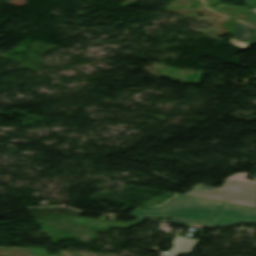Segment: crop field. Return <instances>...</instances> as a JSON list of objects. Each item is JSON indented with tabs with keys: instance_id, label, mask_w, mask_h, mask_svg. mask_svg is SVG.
<instances>
[{
	"instance_id": "3",
	"label": "crop field",
	"mask_w": 256,
	"mask_h": 256,
	"mask_svg": "<svg viewBox=\"0 0 256 256\" xmlns=\"http://www.w3.org/2000/svg\"><path fill=\"white\" fill-rule=\"evenodd\" d=\"M242 221L256 223V208L224 203L207 222L206 227L213 228Z\"/></svg>"
},
{
	"instance_id": "8",
	"label": "crop field",
	"mask_w": 256,
	"mask_h": 256,
	"mask_svg": "<svg viewBox=\"0 0 256 256\" xmlns=\"http://www.w3.org/2000/svg\"><path fill=\"white\" fill-rule=\"evenodd\" d=\"M239 1H245L248 7L256 6V0H239Z\"/></svg>"
},
{
	"instance_id": "10",
	"label": "crop field",
	"mask_w": 256,
	"mask_h": 256,
	"mask_svg": "<svg viewBox=\"0 0 256 256\" xmlns=\"http://www.w3.org/2000/svg\"><path fill=\"white\" fill-rule=\"evenodd\" d=\"M253 12L256 14V8H255V9H253Z\"/></svg>"
},
{
	"instance_id": "5",
	"label": "crop field",
	"mask_w": 256,
	"mask_h": 256,
	"mask_svg": "<svg viewBox=\"0 0 256 256\" xmlns=\"http://www.w3.org/2000/svg\"><path fill=\"white\" fill-rule=\"evenodd\" d=\"M68 220H70L78 225H83V226L102 227V228L114 227V228H122V229H128V228L144 221V220L138 219L131 223H121V222L80 219V218H75V217H69Z\"/></svg>"
},
{
	"instance_id": "7",
	"label": "crop field",
	"mask_w": 256,
	"mask_h": 256,
	"mask_svg": "<svg viewBox=\"0 0 256 256\" xmlns=\"http://www.w3.org/2000/svg\"><path fill=\"white\" fill-rule=\"evenodd\" d=\"M247 175H248V173H237L228 179H238V180L249 181V180L245 179Z\"/></svg>"
},
{
	"instance_id": "2",
	"label": "crop field",
	"mask_w": 256,
	"mask_h": 256,
	"mask_svg": "<svg viewBox=\"0 0 256 256\" xmlns=\"http://www.w3.org/2000/svg\"><path fill=\"white\" fill-rule=\"evenodd\" d=\"M185 195L254 207L256 183L226 181L221 189L199 186Z\"/></svg>"
},
{
	"instance_id": "9",
	"label": "crop field",
	"mask_w": 256,
	"mask_h": 256,
	"mask_svg": "<svg viewBox=\"0 0 256 256\" xmlns=\"http://www.w3.org/2000/svg\"><path fill=\"white\" fill-rule=\"evenodd\" d=\"M255 44H256V34H255V36L253 37L252 42H251V45H255Z\"/></svg>"
},
{
	"instance_id": "1",
	"label": "crop field",
	"mask_w": 256,
	"mask_h": 256,
	"mask_svg": "<svg viewBox=\"0 0 256 256\" xmlns=\"http://www.w3.org/2000/svg\"><path fill=\"white\" fill-rule=\"evenodd\" d=\"M222 204L178 195L161 207L148 210L136 209L131 215L143 218L158 216L205 225Z\"/></svg>"
},
{
	"instance_id": "6",
	"label": "crop field",
	"mask_w": 256,
	"mask_h": 256,
	"mask_svg": "<svg viewBox=\"0 0 256 256\" xmlns=\"http://www.w3.org/2000/svg\"><path fill=\"white\" fill-rule=\"evenodd\" d=\"M218 10L232 11L231 17L241 19L248 22H255L256 19L250 14L249 9L245 7H235L227 4L216 5Z\"/></svg>"
},
{
	"instance_id": "4",
	"label": "crop field",
	"mask_w": 256,
	"mask_h": 256,
	"mask_svg": "<svg viewBox=\"0 0 256 256\" xmlns=\"http://www.w3.org/2000/svg\"><path fill=\"white\" fill-rule=\"evenodd\" d=\"M255 29L256 24L239 20L237 22L234 35L231 39V43L237 46L248 48V41L251 39Z\"/></svg>"
}]
</instances>
